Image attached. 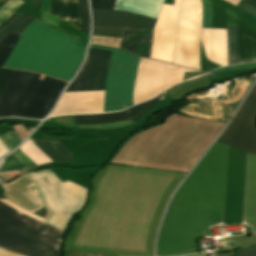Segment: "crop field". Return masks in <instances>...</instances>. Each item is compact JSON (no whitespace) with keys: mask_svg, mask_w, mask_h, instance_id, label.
<instances>
[{"mask_svg":"<svg viewBox=\"0 0 256 256\" xmlns=\"http://www.w3.org/2000/svg\"><path fill=\"white\" fill-rule=\"evenodd\" d=\"M185 175L108 165L64 249L152 256L162 210Z\"/></svg>","mask_w":256,"mask_h":256,"instance_id":"8a807250","label":"crop field"},{"mask_svg":"<svg viewBox=\"0 0 256 256\" xmlns=\"http://www.w3.org/2000/svg\"><path fill=\"white\" fill-rule=\"evenodd\" d=\"M81 31H89L87 0H78ZM0 41V67L21 69L68 81L85 47L80 41L33 20L21 34ZM0 68V96L14 70Z\"/></svg>","mask_w":256,"mask_h":256,"instance_id":"ac0d7876","label":"crop field"},{"mask_svg":"<svg viewBox=\"0 0 256 256\" xmlns=\"http://www.w3.org/2000/svg\"><path fill=\"white\" fill-rule=\"evenodd\" d=\"M63 231L0 202V246L26 256H59Z\"/></svg>","mask_w":256,"mask_h":256,"instance_id":"34b2d1b8","label":"crop field"},{"mask_svg":"<svg viewBox=\"0 0 256 256\" xmlns=\"http://www.w3.org/2000/svg\"><path fill=\"white\" fill-rule=\"evenodd\" d=\"M90 47L113 51L106 78L104 112L131 106L133 84L139 58L128 55L119 49L94 45Z\"/></svg>","mask_w":256,"mask_h":256,"instance_id":"412701ff","label":"crop field"},{"mask_svg":"<svg viewBox=\"0 0 256 256\" xmlns=\"http://www.w3.org/2000/svg\"><path fill=\"white\" fill-rule=\"evenodd\" d=\"M38 77L33 73L12 116L43 118L67 84L47 76L44 80Z\"/></svg>","mask_w":256,"mask_h":256,"instance_id":"f4fd0767","label":"crop field"},{"mask_svg":"<svg viewBox=\"0 0 256 256\" xmlns=\"http://www.w3.org/2000/svg\"><path fill=\"white\" fill-rule=\"evenodd\" d=\"M256 84L218 141L248 153H256Z\"/></svg>","mask_w":256,"mask_h":256,"instance_id":"dd49c442","label":"crop field"},{"mask_svg":"<svg viewBox=\"0 0 256 256\" xmlns=\"http://www.w3.org/2000/svg\"><path fill=\"white\" fill-rule=\"evenodd\" d=\"M111 53L90 48L85 63L66 92L104 90Z\"/></svg>","mask_w":256,"mask_h":256,"instance_id":"e52e79f7","label":"crop field"},{"mask_svg":"<svg viewBox=\"0 0 256 256\" xmlns=\"http://www.w3.org/2000/svg\"><path fill=\"white\" fill-rule=\"evenodd\" d=\"M115 0H91L92 8L112 9ZM92 9L93 25L153 29L156 19L117 10Z\"/></svg>","mask_w":256,"mask_h":256,"instance_id":"d8731c3e","label":"crop field"},{"mask_svg":"<svg viewBox=\"0 0 256 256\" xmlns=\"http://www.w3.org/2000/svg\"><path fill=\"white\" fill-rule=\"evenodd\" d=\"M32 72L15 70L0 100V116H11Z\"/></svg>","mask_w":256,"mask_h":256,"instance_id":"5a996713","label":"crop field"},{"mask_svg":"<svg viewBox=\"0 0 256 256\" xmlns=\"http://www.w3.org/2000/svg\"><path fill=\"white\" fill-rule=\"evenodd\" d=\"M152 31L125 28L120 49L130 54L149 58Z\"/></svg>","mask_w":256,"mask_h":256,"instance_id":"3316defc","label":"crop field"},{"mask_svg":"<svg viewBox=\"0 0 256 256\" xmlns=\"http://www.w3.org/2000/svg\"><path fill=\"white\" fill-rule=\"evenodd\" d=\"M50 14L59 16V20L68 21V25L80 30L77 0H51Z\"/></svg>","mask_w":256,"mask_h":256,"instance_id":"28ad6ade","label":"crop field"},{"mask_svg":"<svg viewBox=\"0 0 256 256\" xmlns=\"http://www.w3.org/2000/svg\"><path fill=\"white\" fill-rule=\"evenodd\" d=\"M31 140L52 161H74L67 148L61 145L59 141Z\"/></svg>","mask_w":256,"mask_h":256,"instance_id":"d1516ede","label":"crop field"},{"mask_svg":"<svg viewBox=\"0 0 256 256\" xmlns=\"http://www.w3.org/2000/svg\"><path fill=\"white\" fill-rule=\"evenodd\" d=\"M241 63L256 61V38L237 28Z\"/></svg>","mask_w":256,"mask_h":256,"instance_id":"22f410ed","label":"crop field"},{"mask_svg":"<svg viewBox=\"0 0 256 256\" xmlns=\"http://www.w3.org/2000/svg\"><path fill=\"white\" fill-rule=\"evenodd\" d=\"M227 25L236 26V16L233 12L226 9ZM228 39V65L239 63L236 27L227 26Z\"/></svg>","mask_w":256,"mask_h":256,"instance_id":"cbeb9de0","label":"crop field"},{"mask_svg":"<svg viewBox=\"0 0 256 256\" xmlns=\"http://www.w3.org/2000/svg\"><path fill=\"white\" fill-rule=\"evenodd\" d=\"M80 124L110 123L129 119L127 111L96 115H76Z\"/></svg>","mask_w":256,"mask_h":256,"instance_id":"5142ce71","label":"crop field"},{"mask_svg":"<svg viewBox=\"0 0 256 256\" xmlns=\"http://www.w3.org/2000/svg\"><path fill=\"white\" fill-rule=\"evenodd\" d=\"M33 19V16L22 13L18 18H16L13 22L6 26L2 31H0V40H2L11 32L21 34L28 25V23H30Z\"/></svg>","mask_w":256,"mask_h":256,"instance_id":"d9b57169","label":"crop field"},{"mask_svg":"<svg viewBox=\"0 0 256 256\" xmlns=\"http://www.w3.org/2000/svg\"><path fill=\"white\" fill-rule=\"evenodd\" d=\"M36 165L51 162L36 146L28 139L20 148Z\"/></svg>","mask_w":256,"mask_h":256,"instance_id":"733c2abd","label":"crop field"},{"mask_svg":"<svg viewBox=\"0 0 256 256\" xmlns=\"http://www.w3.org/2000/svg\"><path fill=\"white\" fill-rule=\"evenodd\" d=\"M162 94V93H161ZM160 94V95H161ZM157 96L156 98H154L153 100L151 101H147V102H144L142 104H139L135 107H132L130 109H128V113L131 117V120L132 122H136L137 120H139L148 110H150L154 104L157 102L158 98L160 97Z\"/></svg>","mask_w":256,"mask_h":256,"instance_id":"4a817a6b","label":"crop field"},{"mask_svg":"<svg viewBox=\"0 0 256 256\" xmlns=\"http://www.w3.org/2000/svg\"><path fill=\"white\" fill-rule=\"evenodd\" d=\"M124 29L93 27L92 36L121 38Z\"/></svg>","mask_w":256,"mask_h":256,"instance_id":"bc2a9ffb","label":"crop field"},{"mask_svg":"<svg viewBox=\"0 0 256 256\" xmlns=\"http://www.w3.org/2000/svg\"><path fill=\"white\" fill-rule=\"evenodd\" d=\"M25 167L26 166L23 163H21L15 156L11 155L5 158V161L0 168V172L16 170V169H21Z\"/></svg>","mask_w":256,"mask_h":256,"instance_id":"214f88e0","label":"crop field"},{"mask_svg":"<svg viewBox=\"0 0 256 256\" xmlns=\"http://www.w3.org/2000/svg\"><path fill=\"white\" fill-rule=\"evenodd\" d=\"M203 5V24L202 28H211V1L201 0Z\"/></svg>","mask_w":256,"mask_h":256,"instance_id":"92a150f3","label":"crop field"},{"mask_svg":"<svg viewBox=\"0 0 256 256\" xmlns=\"http://www.w3.org/2000/svg\"><path fill=\"white\" fill-rule=\"evenodd\" d=\"M0 137L4 141V143L7 145V147L10 149V151L14 147H16L18 143L21 141L14 131L4 133L0 135Z\"/></svg>","mask_w":256,"mask_h":256,"instance_id":"dafd665d","label":"crop field"},{"mask_svg":"<svg viewBox=\"0 0 256 256\" xmlns=\"http://www.w3.org/2000/svg\"><path fill=\"white\" fill-rule=\"evenodd\" d=\"M248 68H256V62L255 63L244 64V65H235V66L222 67V68H219V69L214 70L212 72L218 73V72H226V71L248 69Z\"/></svg>","mask_w":256,"mask_h":256,"instance_id":"00972430","label":"crop field"},{"mask_svg":"<svg viewBox=\"0 0 256 256\" xmlns=\"http://www.w3.org/2000/svg\"><path fill=\"white\" fill-rule=\"evenodd\" d=\"M238 6L251 12L256 17V0H241Z\"/></svg>","mask_w":256,"mask_h":256,"instance_id":"a9b5d70f","label":"crop field"},{"mask_svg":"<svg viewBox=\"0 0 256 256\" xmlns=\"http://www.w3.org/2000/svg\"><path fill=\"white\" fill-rule=\"evenodd\" d=\"M87 252L70 251L69 256H86ZM87 256H119L115 254H99L88 252Z\"/></svg>","mask_w":256,"mask_h":256,"instance_id":"4177f3b9","label":"crop field"},{"mask_svg":"<svg viewBox=\"0 0 256 256\" xmlns=\"http://www.w3.org/2000/svg\"><path fill=\"white\" fill-rule=\"evenodd\" d=\"M20 14H12L8 19H6L1 25L0 30H2L6 25H8L11 21H13Z\"/></svg>","mask_w":256,"mask_h":256,"instance_id":"730fd06b","label":"crop field"},{"mask_svg":"<svg viewBox=\"0 0 256 256\" xmlns=\"http://www.w3.org/2000/svg\"><path fill=\"white\" fill-rule=\"evenodd\" d=\"M7 0H1L0 1V7H1V5L4 3V2H6Z\"/></svg>","mask_w":256,"mask_h":256,"instance_id":"eef30255","label":"crop field"}]
</instances>
